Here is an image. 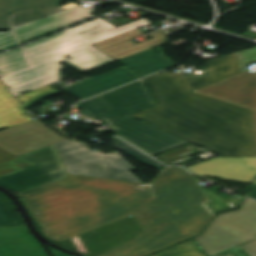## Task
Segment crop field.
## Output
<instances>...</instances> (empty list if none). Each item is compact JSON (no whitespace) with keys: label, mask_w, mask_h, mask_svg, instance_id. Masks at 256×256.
Listing matches in <instances>:
<instances>
[{"label":"crop field","mask_w":256,"mask_h":256,"mask_svg":"<svg viewBox=\"0 0 256 256\" xmlns=\"http://www.w3.org/2000/svg\"><path fill=\"white\" fill-rule=\"evenodd\" d=\"M18 157L32 166L0 177V186L18 192L65 176L61 160L53 145Z\"/></svg>","instance_id":"crop-field-7"},{"label":"crop field","mask_w":256,"mask_h":256,"mask_svg":"<svg viewBox=\"0 0 256 256\" xmlns=\"http://www.w3.org/2000/svg\"><path fill=\"white\" fill-rule=\"evenodd\" d=\"M27 166L30 165L15 156L8 157L6 159L0 160V176Z\"/></svg>","instance_id":"crop-field-22"},{"label":"crop field","mask_w":256,"mask_h":256,"mask_svg":"<svg viewBox=\"0 0 256 256\" xmlns=\"http://www.w3.org/2000/svg\"><path fill=\"white\" fill-rule=\"evenodd\" d=\"M0 256H47L26 227L0 229Z\"/></svg>","instance_id":"crop-field-14"},{"label":"crop field","mask_w":256,"mask_h":256,"mask_svg":"<svg viewBox=\"0 0 256 256\" xmlns=\"http://www.w3.org/2000/svg\"><path fill=\"white\" fill-rule=\"evenodd\" d=\"M153 256H205L192 240Z\"/></svg>","instance_id":"crop-field-20"},{"label":"crop field","mask_w":256,"mask_h":256,"mask_svg":"<svg viewBox=\"0 0 256 256\" xmlns=\"http://www.w3.org/2000/svg\"><path fill=\"white\" fill-rule=\"evenodd\" d=\"M113 142L118 150H120V151L124 152L125 154L131 156L132 158L138 160L139 162L143 163L144 165H146L148 167L152 166L162 172L164 165L156 162L155 160L148 157L147 155H145V154L141 153L140 151L136 150L135 148L129 146L128 144L121 141L117 137H113Z\"/></svg>","instance_id":"crop-field-19"},{"label":"crop field","mask_w":256,"mask_h":256,"mask_svg":"<svg viewBox=\"0 0 256 256\" xmlns=\"http://www.w3.org/2000/svg\"><path fill=\"white\" fill-rule=\"evenodd\" d=\"M140 34L143 33L135 30L93 45L111 58L115 60H120L122 58L144 51L146 49L167 43V38L169 35H171L167 32H160L156 35L151 36L153 39L137 45L127 40Z\"/></svg>","instance_id":"crop-field-12"},{"label":"crop field","mask_w":256,"mask_h":256,"mask_svg":"<svg viewBox=\"0 0 256 256\" xmlns=\"http://www.w3.org/2000/svg\"><path fill=\"white\" fill-rule=\"evenodd\" d=\"M188 169L197 175L251 183L256 176V157H219Z\"/></svg>","instance_id":"crop-field-11"},{"label":"crop field","mask_w":256,"mask_h":256,"mask_svg":"<svg viewBox=\"0 0 256 256\" xmlns=\"http://www.w3.org/2000/svg\"><path fill=\"white\" fill-rule=\"evenodd\" d=\"M151 24L142 19L114 27L98 18L0 54V78L15 96L63 79L62 61L82 73L114 61L91 44ZM70 55L67 60L64 56Z\"/></svg>","instance_id":"crop-field-3"},{"label":"crop field","mask_w":256,"mask_h":256,"mask_svg":"<svg viewBox=\"0 0 256 256\" xmlns=\"http://www.w3.org/2000/svg\"><path fill=\"white\" fill-rule=\"evenodd\" d=\"M248 196L256 199V185H252V187L248 193Z\"/></svg>","instance_id":"crop-field-27"},{"label":"crop field","mask_w":256,"mask_h":256,"mask_svg":"<svg viewBox=\"0 0 256 256\" xmlns=\"http://www.w3.org/2000/svg\"><path fill=\"white\" fill-rule=\"evenodd\" d=\"M234 249L238 250L245 256H256V240L251 243L236 247Z\"/></svg>","instance_id":"crop-field-26"},{"label":"crop field","mask_w":256,"mask_h":256,"mask_svg":"<svg viewBox=\"0 0 256 256\" xmlns=\"http://www.w3.org/2000/svg\"><path fill=\"white\" fill-rule=\"evenodd\" d=\"M68 175L18 194L42 234L56 242L131 213L144 232L101 256H144L202 232L214 218L194 176L170 167L149 185Z\"/></svg>","instance_id":"crop-field-1"},{"label":"crop field","mask_w":256,"mask_h":256,"mask_svg":"<svg viewBox=\"0 0 256 256\" xmlns=\"http://www.w3.org/2000/svg\"><path fill=\"white\" fill-rule=\"evenodd\" d=\"M241 208L219 214L199 237L209 256L256 237V201L246 197Z\"/></svg>","instance_id":"crop-field-6"},{"label":"crop field","mask_w":256,"mask_h":256,"mask_svg":"<svg viewBox=\"0 0 256 256\" xmlns=\"http://www.w3.org/2000/svg\"><path fill=\"white\" fill-rule=\"evenodd\" d=\"M24 226L20 215L0 217V228Z\"/></svg>","instance_id":"crop-field-24"},{"label":"crop field","mask_w":256,"mask_h":256,"mask_svg":"<svg viewBox=\"0 0 256 256\" xmlns=\"http://www.w3.org/2000/svg\"><path fill=\"white\" fill-rule=\"evenodd\" d=\"M51 250L56 254V256H67V255H65V254H63V253H61V252H59L55 249H51Z\"/></svg>","instance_id":"crop-field-29"},{"label":"crop field","mask_w":256,"mask_h":256,"mask_svg":"<svg viewBox=\"0 0 256 256\" xmlns=\"http://www.w3.org/2000/svg\"><path fill=\"white\" fill-rule=\"evenodd\" d=\"M117 62L141 77L171 66L151 49Z\"/></svg>","instance_id":"crop-field-16"},{"label":"crop field","mask_w":256,"mask_h":256,"mask_svg":"<svg viewBox=\"0 0 256 256\" xmlns=\"http://www.w3.org/2000/svg\"><path fill=\"white\" fill-rule=\"evenodd\" d=\"M61 0H0V15L11 12L58 6Z\"/></svg>","instance_id":"crop-field-18"},{"label":"crop field","mask_w":256,"mask_h":256,"mask_svg":"<svg viewBox=\"0 0 256 256\" xmlns=\"http://www.w3.org/2000/svg\"><path fill=\"white\" fill-rule=\"evenodd\" d=\"M154 105L151 94L141 80L76 106L84 110L87 117L107 121L116 128L111 132L151 155L187 143L129 116Z\"/></svg>","instance_id":"crop-field-4"},{"label":"crop field","mask_w":256,"mask_h":256,"mask_svg":"<svg viewBox=\"0 0 256 256\" xmlns=\"http://www.w3.org/2000/svg\"><path fill=\"white\" fill-rule=\"evenodd\" d=\"M14 214H17V213L9 204L8 199L4 195L0 194V216L14 215Z\"/></svg>","instance_id":"crop-field-25"},{"label":"crop field","mask_w":256,"mask_h":256,"mask_svg":"<svg viewBox=\"0 0 256 256\" xmlns=\"http://www.w3.org/2000/svg\"><path fill=\"white\" fill-rule=\"evenodd\" d=\"M60 7L38 9L11 13V16H0V30H12L48 15L62 11Z\"/></svg>","instance_id":"crop-field-17"},{"label":"crop field","mask_w":256,"mask_h":256,"mask_svg":"<svg viewBox=\"0 0 256 256\" xmlns=\"http://www.w3.org/2000/svg\"><path fill=\"white\" fill-rule=\"evenodd\" d=\"M68 174L140 182L130 171L134 166L118 153L93 152L74 138L55 144Z\"/></svg>","instance_id":"crop-field-5"},{"label":"crop field","mask_w":256,"mask_h":256,"mask_svg":"<svg viewBox=\"0 0 256 256\" xmlns=\"http://www.w3.org/2000/svg\"><path fill=\"white\" fill-rule=\"evenodd\" d=\"M254 183L256 184V179H255Z\"/></svg>","instance_id":"crop-field-30"},{"label":"crop field","mask_w":256,"mask_h":256,"mask_svg":"<svg viewBox=\"0 0 256 256\" xmlns=\"http://www.w3.org/2000/svg\"><path fill=\"white\" fill-rule=\"evenodd\" d=\"M237 58L240 66V70L245 71L248 69H245L247 66H249L251 63H256V47L248 50H244L241 52H237Z\"/></svg>","instance_id":"crop-field-23"},{"label":"crop field","mask_w":256,"mask_h":256,"mask_svg":"<svg viewBox=\"0 0 256 256\" xmlns=\"http://www.w3.org/2000/svg\"><path fill=\"white\" fill-rule=\"evenodd\" d=\"M140 78L130 70L122 67L86 81L63 88L62 90L79 98L85 99L97 93Z\"/></svg>","instance_id":"crop-field-13"},{"label":"crop field","mask_w":256,"mask_h":256,"mask_svg":"<svg viewBox=\"0 0 256 256\" xmlns=\"http://www.w3.org/2000/svg\"><path fill=\"white\" fill-rule=\"evenodd\" d=\"M64 140L37 120L0 130V159L21 155Z\"/></svg>","instance_id":"crop-field-9"},{"label":"crop field","mask_w":256,"mask_h":256,"mask_svg":"<svg viewBox=\"0 0 256 256\" xmlns=\"http://www.w3.org/2000/svg\"><path fill=\"white\" fill-rule=\"evenodd\" d=\"M206 70L145 78L159 105L133 116L221 157L256 156L253 110L192 92L240 73L235 53L206 61Z\"/></svg>","instance_id":"crop-field-2"},{"label":"crop field","mask_w":256,"mask_h":256,"mask_svg":"<svg viewBox=\"0 0 256 256\" xmlns=\"http://www.w3.org/2000/svg\"><path fill=\"white\" fill-rule=\"evenodd\" d=\"M194 92L254 109L256 124V73L246 71Z\"/></svg>","instance_id":"crop-field-10"},{"label":"crop field","mask_w":256,"mask_h":256,"mask_svg":"<svg viewBox=\"0 0 256 256\" xmlns=\"http://www.w3.org/2000/svg\"><path fill=\"white\" fill-rule=\"evenodd\" d=\"M83 5L64 10L8 32H0V52L94 17Z\"/></svg>","instance_id":"crop-field-8"},{"label":"crop field","mask_w":256,"mask_h":256,"mask_svg":"<svg viewBox=\"0 0 256 256\" xmlns=\"http://www.w3.org/2000/svg\"><path fill=\"white\" fill-rule=\"evenodd\" d=\"M60 93L53 87L47 85L45 87H42L40 89H37L33 92H30L28 94L22 95L18 97V99L25 105L32 104L34 102L40 101L42 99H45L47 97H50L52 95Z\"/></svg>","instance_id":"crop-field-21"},{"label":"crop field","mask_w":256,"mask_h":256,"mask_svg":"<svg viewBox=\"0 0 256 256\" xmlns=\"http://www.w3.org/2000/svg\"><path fill=\"white\" fill-rule=\"evenodd\" d=\"M20 103L14 99L0 81V129L33 121Z\"/></svg>","instance_id":"crop-field-15"},{"label":"crop field","mask_w":256,"mask_h":256,"mask_svg":"<svg viewBox=\"0 0 256 256\" xmlns=\"http://www.w3.org/2000/svg\"><path fill=\"white\" fill-rule=\"evenodd\" d=\"M217 256H239L236 253H234L233 251H227L225 253L219 254Z\"/></svg>","instance_id":"crop-field-28"}]
</instances>
